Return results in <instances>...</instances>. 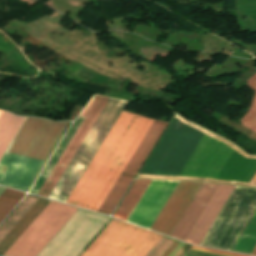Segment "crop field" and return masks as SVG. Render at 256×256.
Instances as JSON below:
<instances>
[{
	"label": "crop field",
	"instance_id": "obj_1",
	"mask_svg": "<svg viewBox=\"0 0 256 256\" xmlns=\"http://www.w3.org/2000/svg\"><path fill=\"white\" fill-rule=\"evenodd\" d=\"M152 119L122 111L66 204L97 212ZM168 122L154 120L98 212L111 215Z\"/></svg>",
	"mask_w": 256,
	"mask_h": 256
},
{
	"label": "crop field",
	"instance_id": "obj_2",
	"mask_svg": "<svg viewBox=\"0 0 256 256\" xmlns=\"http://www.w3.org/2000/svg\"><path fill=\"white\" fill-rule=\"evenodd\" d=\"M177 119L224 142L247 158L249 156L230 142L213 135L176 115ZM160 140L140 174L200 176L252 183L256 176V158L247 159L224 143L175 119ZM138 175L137 178L199 180L245 186L252 184L181 176Z\"/></svg>",
	"mask_w": 256,
	"mask_h": 256
},
{
	"label": "crop field",
	"instance_id": "obj_3",
	"mask_svg": "<svg viewBox=\"0 0 256 256\" xmlns=\"http://www.w3.org/2000/svg\"><path fill=\"white\" fill-rule=\"evenodd\" d=\"M66 124L27 118L8 152L44 161ZM8 152L0 160V183L27 191L45 161Z\"/></svg>",
	"mask_w": 256,
	"mask_h": 256
},
{
	"label": "crop field",
	"instance_id": "obj_4",
	"mask_svg": "<svg viewBox=\"0 0 256 256\" xmlns=\"http://www.w3.org/2000/svg\"><path fill=\"white\" fill-rule=\"evenodd\" d=\"M127 103L121 100L109 99L53 189L49 199L65 203L116 118Z\"/></svg>",
	"mask_w": 256,
	"mask_h": 256
},
{
	"label": "crop field",
	"instance_id": "obj_5",
	"mask_svg": "<svg viewBox=\"0 0 256 256\" xmlns=\"http://www.w3.org/2000/svg\"><path fill=\"white\" fill-rule=\"evenodd\" d=\"M256 208V189L236 186L200 245L230 250Z\"/></svg>",
	"mask_w": 256,
	"mask_h": 256
},
{
	"label": "crop field",
	"instance_id": "obj_6",
	"mask_svg": "<svg viewBox=\"0 0 256 256\" xmlns=\"http://www.w3.org/2000/svg\"><path fill=\"white\" fill-rule=\"evenodd\" d=\"M161 237L113 219L81 256H145Z\"/></svg>",
	"mask_w": 256,
	"mask_h": 256
},
{
	"label": "crop field",
	"instance_id": "obj_7",
	"mask_svg": "<svg viewBox=\"0 0 256 256\" xmlns=\"http://www.w3.org/2000/svg\"><path fill=\"white\" fill-rule=\"evenodd\" d=\"M217 187L218 185L215 184L203 183L190 206L171 234V237L184 241ZM233 188L234 186L219 185L211 200L185 239V242L199 245L200 241L204 237Z\"/></svg>",
	"mask_w": 256,
	"mask_h": 256
},
{
	"label": "crop field",
	"instance_id": "obj_8",
	"mask_svg": "<svg viewBox=\"0 0 256 256\" xmlns=\"http://www.w3.org/2000/svg\"><path fill=\"white\" fill-rule=\"evenodd\" d=\"M150 180H136L114 217L126 221ZM178 181L151 180L127 222L150 229Z\"/></svg>",
	"mask_w": 256,
	"mask_h": 256
},
{
	"label": "crop field",
	"instance_id": "obj_9",
	"mask_svg": "<svg viewBox=\"0 0 256 256\" xmlns=\"http://www.w3.org/2000/svg\"><path fill=\"white\" fill-rule=\"evenodd\" d=\"M77 208L51 201L5 256H36Z\"/></svg>",
	"mask_w": 256,
	"mask_h": 256
},
{
	"label": "crop field",
	"instance_id": "obj_10",
	"mask_svg": "<svg viewBox=\"0 0 256 256\" xmlns=\"http://www.w3.org/2000/svg\"><path fill=\"white\" fill-rule=\"evenodd\" d=\"M202 183L179 181L151 230L170 236Z\"/></svg>",
	"mask_w": 256,
	"mask_h": 256
},
{
	"label": "crop field",
	"instance_id": "obj_11",
	"mask_svg": "<svg viewBox=\"0 0 256 256\" xmlns=\"http://www.w3.org/2000/svg\"><path fill=\"white\" fill-rule=\"evenodd\" d=\"M37 198L27 196L17 209L9 216V218L0 227V241L11 230V228L19 221L26 211L34 204ZM48 201L38 199L28 212L20 219V221L12 228V230L0 242V252L5 253L6 250L14 243V241L22 234V232L31 224L38 214L46 207Z\"/></svg>",
	"mask_w": 256,
	"mask_h": 256
},
{
	"label": "crop field",
	"instance_id": "obj_12",
	"mask_svg": "<svg viewBox=\"0 0 256 256\" xmlns=\"http://www.w3.org/2000/svg\"><path fill=\"white\" fill-rule=\"evenodd\" d=\"M107 100H108L107 97L98 96L97 100L95 101L92 108L88 112L87 116L85 117L84 121L82 122L79 129L75 133L74 137L70 141L69 145L67 146L66 150L64 151L61 158L57 162L53 171L49 175L48 179L44 183L41 190L39 191L38 196L48 198L49 194L51 193L52 189L54 188L55 184L57 183L58 179L60 178L61 174L63 173L64 169L66 168L67 164L69 163L70 159L75 153L76 149L78 148L81 141L87 134L88 130L94 123L95 119L101 112Z\"/></svg>",
	"mask_w": 256,
	"mask_h": 256
},
{
	"label": "crop field",
	"instance_id": "obj_13",
	"mask_svg": "<svg viewBox=\"0 0 256 256\" xmlns=\"http://www.w3.org/2000/svg\"><path fill=\"white\" fill-rule=\"evenodd\" d=\"M96 98H97V96L93 97V99L90 101V103L87 105V107L84 109V111L81 113L80 116L85 117V115L87 114L88 110L90 109V107L92 106V104L94 103ZM82 120H83V118L78 117L77 120L74 122V124L71 126V128L68 130L65 137L61 141L60 145L56 149L55 153L51 157L50 161L48 162V164L44 168L43 172L39 176L36 183L34 184L30 193L37 195L38 191L42 187L43 183L45 182L46 178L50 174L51 170L53 169L54 165L58 161L59 157L61 156L62 152L66 148L67 144L69 143L70 139L74 135L75 131L77 130V128L80 125V123L82 122Z\"/></svg>",
	"mask_w": 256,
	"mask_h": 256
},
{
	"label": "crop field",
	"instance_id": "obj_14",
	"mask_svg": "<svg viewBox=\"0 0 256 256\" xmlns=\"http://www.w3.org/2000/svg\"><path fill=\"white\" fill-rule=\"evenodd\" d=\"M2 111L0 110V114ZM25 118L15 117L7 112L0 116V159L11 143Z\"/></svg>",
	"mask_w": 256,
	"mask_h": 256
},
{
	"label": "crop field",
	"instance_id": "obj_15",
	"mask_svg": "<svg viewBox=\"0 0 256 256\" xmlns=\"http://www.w3.org/2000/svg\"><path fill=\"white\" fill-rule=\"evenodd\" d=\"M167 237L163 236L160 241L153 247V249L146 255V256H152L158 248L165 242ZM174 241V239L168 238L166 242L159 248V250L153 255V256H161L163 252L171 245V243ZM179 243V241L175 240L172 245L164 252L162 256H168V254L176 247V245ZM184 245V243L180 242L177 247L169 254V256H174ZM189 247V245L185 244L182 249L175 255V256H181L186 249Z\"/></svg>",
	"mask_w": 256,
	"mask_h": 256
},
{
	"label": "crop field",
	"instance_id": "obj_16",
	"mask_svg": "<svg viewBox=\"0 0 256 256\" xmlns=\"http://www.w3.org/2000/svg\"><path fill=\"white\" fill-rule=\"evenodd\" d=\"M256 245V213L249 222L242 236L238 240L234 249L251 253L252 249Z\"/></svg>",
	"mask_w": 256,
	"mask_h": 256
},
{
	"label": "crop field",
	"instance_id": "obj_17",
	"mask_svg": "<svg viewBox=\"0 0 256 256\" xmlns=\"http://www.w3.org/2000/svg\"><path fill=\"white\" fill-rule=\"evenodd\" d=\"M25 195L23 192L6 188L0 195V222Z\"/></svg>",
	"mask_w": 256,
	"mask_h": 256
},
{
	"label": "crop field",
	"instance_id": "obj_18",
	"mask_svg": "<svg viewBox=\"0 0 256 256\" xmlns=\"http://www.w3.org/2000/svg\"><path fill=\"white\" fill-rule=\"evenodd\" d=\"M190 249L197 250V251H203V252H209V253H215V254H221V255H227V256H247V255L235 254V253L218 251V250L201 248V247H195V246H192ZM191 250L186 252V254L184 256H221V255H215V254H209V253H203V252H197V251H191Z\"/></svg>",
	"mask_w": 256,
	"mask_h": 256
},
{
	"label": "crop field",
	"instance_id": "obj_19",
	"mask_svg": "<svg viewBox=\"0 0 256 256\" xmlns=\"http://www.w3.org/2000/svg\"><path fill=\"white\" fill-rule=\"evenodd\" d=\"M252 254H253V255H256V247H255V249L253 250Z\"/></svg>",
	"mask_w": 256,
	"mask_h": 256
}]
</instances>
